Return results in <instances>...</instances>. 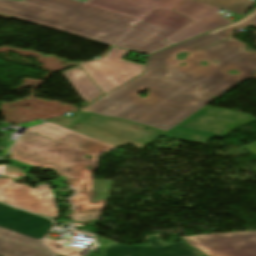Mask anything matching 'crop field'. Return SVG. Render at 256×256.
Returning <instances> with one entry per match:
<instances>
[{"instance_id":"6","label":"crop field","mask_w":256,"mask_h":256,"mask_svg":"<svg viewBox=\"0 0 256 256\" xmlns=\"http://www.w3.org/2000/svg\"><path fill=\"white\" fill-rule=\"evenodd\" d=\"M253 121L256 119L247 114L205 106L174 130L225 138L233 129Z\"/></svg>"},{"instance_id":"11","label":"crop field","mask_w":256,"mask_h":256,"mask_svg":"<svg viewBox=\"0 0 256 256\" xmlns=\"http://www.w3.org/2000/svg\"><path fill=\"white\" fill-rule=\"evenodd\" d=\"M152 246H126L112 245L106 248L103 253L105 256H201L199 252L189 248L186 244L178 243L161 246L157 240L158 234L146 237Z\"/></svg>"},{"instance_id":"8","label":"crop field","mask_w":256,"mask_h":256,"mask_svg":"<svg viewBox=\"0 0 256 256\" xmlns=\"http://www.w3.org/2000/svg\"><path fill=\"white\" fill-rule=\"evenodd\" d=\"M181 238L207 256H256V232Z\"/></svg>"},{"instance_id":"16","label":"crop field","mask_w":256,"mask_h":256,"mask_svg":"<svg viewBox=\"0 0 256 256\" xmlns=\"http://www.w3.org/2000/svg\"><path fill=\"white\" fill-rule=\"evenodd\" d=\"M128 54H129V52H127L125 50L113 47L103 59H107V60H110V61H114V62H117V63H121V64H124V65H128V66L135 67V68L143 70V68H144L143 65H139V64H135V63H132V62L122 60Z\"/></svg>"},{"instance_id":"5","label":"crop field","mask_w":256,"mask_h":256,"mask_svg":"<svg viewBox=\"0 0 256 256\" xmlns=\"http://www.w3.org/2000/svg\"><path fill=\"white\" fill-rule=\"evenodd\" d=\"M51 227L52 222L48 219L23 211H12L9 206L0 204L1 238L48 250L41 245V239Z\"/></svg>"},{"instance_id":"2","label":"crop field","mask_w":256,"mask_h":256,"mask_svg":"<svg viewBox=\"0 0 256 256\" xmlns=\"http://www.w3.org/2000/svg\"><path fill=\"white\" fill-rule=\"evenodd\" d=\"M180 1L0 0V13L150 55L191 21L171 11Z\"/></svg>"},{"instance_id":"15","label":"crop field","mask_w":256,"mask_h":256,"mask_svg":"<svg viewBox=\"0 0 256 256\" xmlns=\"http://www.w3.org/2000/svg\"><path fill=\"white\" fill-rule=\"evenodd\" d=\"M164 136L181 139V140H185V141H190V142H195V143H199V144H204V145H207L210 142V140L212 139L211 137L200 136V135L179 132V131H174V130H171Z\"/></svg>"},{"instance_id":"3","label":"crop field","mask_w":256,"mask_h":256,"mask_svg":"<svg viewBox=\"0 0 256 256\" xmlns=\"http://www.w3.org/2000/svg\"><path fill=\"white\" fill-rule=\"evenodd\" d=\"M114 149L52 123L29 128L10 150L11 158L37 167H49L66 178L75 194L71 218L80 222L97 220L105 202H92L88 193L92 180L90 173L97 166L100 154ZM88 154L93 159L83 158ZM85 156V155H84ZM89 166L91 170H85Z\"/></svg>"},{"instance_id":"18","label":"crop field","mask_w":256,"mask_h":256,"mask_svg":"<svg viewBox=\"0 0 256 256\" xmlns=\"http://www.w3.org/2000/svg\"><path fill=\"white\" fill-rule=\"evenodd\" d=\"M22 172H23L22 169H19L12 165L0 166V174L5 176L17 178L22 174Z\"/></svg>"},{"instance_id":"10","label":"crop field","mask_w":256,"mask_h":256,"mask_svg":"<svg viewBox=\"0 0 256 256\" xmlns=\"http://www.w3.org/2000/svg\"><path fill=\"white\" fill-rule=\"evenodd\" d=\"M81 65L106 94L143 73L142 70L103 59Z\"/></svg>"},{"instance_id":"14","label":"crop field","mask_w":256,"mask_h":256,"mask_svg":"<svg viewBox=\"0 0 256 256\" xmlns=\"http://www.w3.org/2000/svg\"><path fill=\"white\" fill-rule=\"evenodd\" d=\"M243 15L254 2L250 0H197Z\"/></svg>"},{"instance_id":"12","label":"crop field","mask_w":256,"mask_h":256,"mask_svg":"<svg viewBox=\"0 0 256 256\" xmlns=\"http://www.w3.org/2000/svg\"><path fill=\"white\" fill-rule=\"evenodd\" d=\"M63 74L86 104L103 95L80 66L63 72Z\"/></svg>"},{"instance_id":"17","label":"crop field","mask_w":256,"mask_h":256,"mask_svg":"<svg viewBox=\"0 0 256 256\" xmlns=\"http://www.w3.org/2000/svg\"><path fill=\"white\" fill-rule=\"evenodd\" d=\"M46 245L50 247L54 253L64 255V256H79V249H72V248H64L60 246L58 243L51 242L49 240L45 241Z\"/></svg>"},{"instance_id":"21","label":"crop field","mask_w":256,"mask_h":256,"mask_svg":"<svg viewBox=\"0 0 256 256\" xmlns=\"http://www.w3.org/2000/svg\"><path fill=\"white\" fill-rule=\"evenodd\" d=\"M251 26H254V27H256V23L252 24Z\"/></svg>"},{"instance_id":"22","label":"crop field","mask_w":256,"mask_h":256,"mask_svg":"<svg viewBox=\"0 0 256 256\" xmlns=\"http://www.w3.org/2000/svg\"><path fill=\"white\" fill-rule=\"evenodd\" d=\"M11 209H12V210H16V211H19V210L15 209V208H12V207H11Z\"/></svg>"},{"instance_id":"19","label":"crop field","mask_w":256,"mask_h":256,"mask_svg":"<svg viewBox=\"0 0 256 256\" xmlns=\"http://www.w3.org/2000/svg\"><path fill=\"white\" fill-rule=\"evenodd\" d=\"M98 244H99V248H105V247H108L112 244H116L112 241H109L107 239H104V238H100V240L98 241Z\"/></svg>"},{"instance_id":"4","label":"crop field","mask_w":256,"mask_h":256,"mask_svg":"<svg viewBox=\"0 0 256 256\" xmlns=\"http://www.w3.org/2000/svg\"><path fill=\"white\" fill-rule=\"evenodd\" d=\"M86 114L76 112L69 117L60 116L47 121L115 147L131 144L142 149L156 138L166 134V132L154 130L126 120L104 118L95 114H88L85 117ZM145 129H148V131ZM142 139L145 141H142Z\"/></svg>"},{"instance_id":"20","label":"crop field","mask_w":256,"mask_h":256,"mask_svg":"<svg viewBox=\"0 0 256 256\" xmlns=\"http://www.w3.org/2000/svg\"><path fill=\"white\" fill-rule=\"evenodd\" d=\"M243 149L251 152L252 154L256 155V143L244 146Z\"/></svg>"},{"instance_id":"7","label":"crop field","mask_w":256,"mask_h":256,"mask_svg":"<svg viewBox=\"0 0 256 256\" xmlns=\"http://www.w3.org/2000/svg\"><path fill=\"white\" fill-rule=\"evenodd\" d=\"M0 201L19 206L39 214L57 218L58 211L49 185H40L36 190L13 182L12 179H0Z\"/></svg>"},{"instance_id":"1","label":"crop field","mask_w":256,"mask_h":256,"mask_svg":"<svg viewBox=\"0 0 256 256\" xmlns=\"http://www.w3.org/2000/svg\"><path fill=\"white\" fill-rule=\"evenodd\" d=\"M255 20L256 10L239 22L147 56L143 74L80 111L168 132L211 102L213 96L223 95L256 73V53L244 51L245 45L234 39L190 54L183 61L176 60L175 54L229 38L232 30ZM203 60L209 63L207 67L198 65ZM214 60L219 63L214 64ZM182 62L187 65L180 67ZM230 70L240 74L227 73ZM145 88L150 91L142 99L136 94Z\"/></svg>"},{"instance_id":"13","label":"crop field","mask_w":256,"mask_h":256,"mask_svg":"<svg viewBox=\"0 0 256 256\" xmlns=\"http://www.w3.org/2000/svg\"><path fill=\"white\" fill-rule=\"evenodd\" d=\"M0 256H52L49 251L0 238Z\"/></svg>"},{"instance_id":"9","label":"crop field","mask_w":256,"mask_h":256,"mask_svg":"<svg viewBox=\"0 0 256 256\" xmlns=\"http://www.w3.org/2000/svg\"><path fill=\"white\" fill-rule=\"evenodd\" d=\"M219 9L194 0H182L173 10L193 21L166 38L165 41L174 45L222 25L232 23L217 12Z\"/></svg>"}]
</instances>
